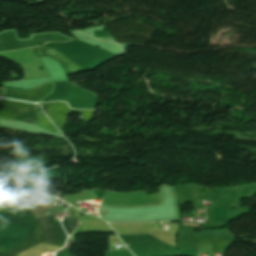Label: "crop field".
I'll return each instance as SVG.
<instances>
[{"mask_svg": "<svg viewBox=\"0 0 256 256\" xmlns=\"http://www.w3.org/2000/svg\"><path fill=\"white\" fill-rule=\"evenodd\" d=\"M105 212H107V211H105Z\"/></svg>", "mask_w": 256, "mask_h": 256, "instance_id": "obj_3", "label": "crop field"}, {"mask_svg": "<svg viewBox=\"0 0 256 256\" xmlns=\"http://www.w3.org/2000/svg\"><path fill=\"white\" fill-rule=\"evenodd\" d=\"M68 221H69V224L71 226V229L72 231H74V229L77 227V225L79 224V221L77 218H67ZM66 218H64L63 222H62V225L63 227L66 229L68 235L72 233L71 229H70V226L68 224V221H67Z\"/></svg>", "mask_w": 256, "mask_h": 256, "instance_id": "obj_1", "label": "crop field"}, {"mask_svg": "<svg viewBox=\"0 0 256 256\" xmlns=\"http://www.w3.org/2000/svg\"><path fill=\"white\" fill-rule=\"evenodd\" d=\"M54 228L56 230V232L58 233V235H66V233L64 232V230L62 229L60 222L59 223H55L53 224Z\"/></svg>", "mask_w": 256, "mask_h": 256, "instance_id": "obj_2", "label": "crop field"}]
</instances>
